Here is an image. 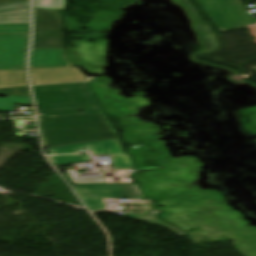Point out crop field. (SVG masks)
<instances>
[{
  "instance_id": "obj_3",
  "label": "crop field",
  "mask_w": 256,
  "mask_h": 256,
  "mask_svg": "<svg viewBox=\"0 0 256 256\" xmlns=\"http://www.w3.org/2000/svg\"><path fill=\"white\" fill-rule=\"evenodd\" d=\"M220 30L256 24L239 0H197ZM206 12V13H207Z\"/></svg>"
},
{
  "instance_id": "obj_20",
  "label": "crop field",
  "mask_w": 256,
  "mask_h": 256,
  "mask_svg": "<svg viewBox=\"0 0 256 256\" xmlns=\"http://www.w3.org/2000/svg\"><path fill=\"white\" fill-rule=\"evenodd\" d=\"M71 184L105 183L103 178L70 180Z\"/></svg>"
},
{
  "instance_id": "obj_11",
  "label": "crop field",
  "mask_w": 256,
  "mask_h": 256,
  "mask_svg": "<svg viewBox=\"0 0 256 256\" xmlns=\"http://www.w3.org/2000/svg\"><path fill=\"white\" fill-rule=\"evenodd\" d=\"M28 86L25 69L0 71V88Z\"/></svg>"
},
{
  "instance_id": "obj_22",
  "label": "crop field",
  "mask_w": 256,
  "mask_h": 256,
  "mask_svg": "<svg viewBox=\"0 0 256 256\" xmlns=\"http://www.w3.org/2000/svg\"><path fill=\"white\" fill-rule=\"evenodd\" d=\"M254 71H256V69H253Z\"/></svg>"
},
{
  "instance_id": "obj_18",
  "label": "crop field",
  "mask_w": 256,
  "mask_h": 256,
  "mask_svg": "<svg viewBox=\"0 0 256 256\" xmlns=\"http://www.w3.org/2000/svg\"><path fill=\"white\" fill-rule=\"evenodd\" d=\"M0 95L29 97V91H28V87L0 89Z\"/></svg>"
},
{
  "instance_id": "obj_9",
  "label": "crop field",
  "mask_w": 256,
  "mask_h": 256,
  "mask_svg": "<svg viewBox=\"0 0 256 256\" xmlns=\"http://www.w3.org/2000/svg\"><path fill=\"white\" fill-rule=\"evenodd\" d=\"M34 33H62L58 12L34 9Z\"/></svg>"
},
{
  "instance_id": "obj_4",
  "label": "crop field",
  "mask_w": 256,
  "mask_h": 256,
  "mask_svg": "<svg viewBox=\"0 0 256 256\" xmlns=\"http://www.w3.org/2000/svg\"><path fill=\"white\" fill-rule=\"evenodd\" d=\"M72 186L90 210L105 208V198L143 197L136 184H88Z\"/></svg>"
},
{
  "instance_id": "obj_21",
  "label": "crop field",
  "mask_w": 256,
  "mask_h": 256,
  "mask_svg": "<svg viewBox=\"0 0 256 256\" xmlns=\"http://www.w3.org/2000/svg\"><path fill=\"white\" fill-rule=\"evenodd\" d=\"M17 1H29V0H0V4L9 3V2H17Z\"/></svg>"
},
{
  "instance_id": "obj_13",
  "label": "crop field",
  "mask_w": 256,
  "mask_h": 256,
  "mask_svg": "<svg viewBox=\"0 0 256 256\" xmlns=\"http://www.w3.org/2000/svg\"><path fill=\"white\" fill-rule=\"evenodd\" d=\"M29 23V9L0 13V24Z\"/></svg>"
},
{
  "instance_id": "obj_8",
  "label": "crop field",
  "mask_w": 256,
  "mask_h": 256,
  "mask_svg": "<svg viewBox=\"0 0 256 256\" xmlns=\"http://www.w3.org/2000/svg\"><path fill=\"white\" fill-rule=\"evenodd\" d=\"M69 66L62 49H33L30 68Z\"/></svg>"
},
{
  "instance_id": "obj_5",
  "label": "crop field",
  "mask_w": 256,
  "mask_h": 256,
  "mask_svg": "<svg viewBox=\"0 0 256 256\" xmlns=\"http://www.w3.org/2000/svg\"><path fill=\"white\" fill-rule=\"evenodd\" d=\"M89 148L93 156L110 155L114 168H133L129 155L123 154L118 139L87 144L47 149L53 155L78 153L77 150Z\"/></svg>"
},
{
  "instance_id": "obj_6",
  "label": "crop field",
  "mask_w": 256,
  "mask_h": 256,
  "mask_svg": "<svg viewBox=\"0 0 256 256\" xmlns=\"http://www.w3.org/2000/svg\"><path fill=\"white\" fill-rule=\"evenodd\" d=\"M29 34L0 35V70L25 68Z\"/></svg>"
},
{
  "instance_id": "obj_14",
  "label": "crop field",
  "mask_w": 256,
  "mask_h": 256,
  "mask_svg": "<svg viewBox=\"0 0 256 256\" xmlns=\"http://www.w3.org/2000/svg\"><path fill=\"white\" fill-rule=\"evenodd\" d=\"M54 166L69 165L75 162H90L89 154L82 155H61L48 157Z\"/></svg>"
},
{
  "instance_id": "obj_12",
  "label": "crop field",
  "mask_w": 256,
  "mask_h": 256,
  "mask_svg": "<svg viewBox=\"0 0 256 256\" xmlns=\"http://www.w3.org/2000/svg\"><path fill=\"white\" fill-rule=\"evenodd\" d=\"M63 35H34L33 48H62Z\"/></svg>"
},
{
  "instance_id": "obj_19",
  "label": "crop field",
  "mask_w": 256,
  "mask_h": 256,
  "mask_svg": "<svg viewBox=\"0 0 256 256\" xmlns=\"http://www.w3.org/2000/svg\"><path fill=\"white\" fill-rule=\"evenodd\" d=\"M29 8V2H18L0 5V12Z\"/></svg>"
},
{
  "instance_id": "obj_10",
  "label": "crop field",
  "mask_w": 256,
  "mask_h": 256,
  "mask_svg": "<svg viewBox=\"0 0 256 256\" xmlns=\"http://www.w3.org/2000/svg\"><path fill=\"white\" fill-rule=\"evenodd\" d=\"M138 204L142 205V208H144V209H152V207L148 205V201L146 199H140V203H138ZM157 214H158V212L146 210V212L141 213V214H126V216L131 219H135V220H139V221H143V222H147V223L165 227V228L171 230L173 233H175L179 237L184 235L183 233L176 230L172 226H170L167 223L163 222L162 220L156 218Z\"/></svg>"
},
{
  "instance_id": "obj_16",
  "label": "crop field",
  "mask_w": 256,
  "mask_h": 256,
  "mask_svg": "<svg viewBox=\"0 0 256 256\" xmlns=\"http://www.w3.org/2000/svg\"><path fill=\"white\" fill-rule=\"evenodd\" d=\"M35 7L61 10L65 8L64 0H34Z\"/></svg>"
},
{
  "instance_id": "obj_23",
  "label": "crop field",
  "mask_w": 256,
  "mask_h": 256,
  "mask_svg": "<svg viewBox=\"0 0 256 256\" xmlns=\"http://www.w3.org/2000/svg\"><path fill=\"white\" fill-rule=\"evenodd\" d=\"M255 5H256V3H255Z\"/></svg>"
},
{
  "instance_id": "obj_15",
  "label": "crop field",
  "mask_w": 256,
  "mask_h": 256,
  "mask_svg": "<svg viewBox=\"0 0 256 256\" xmlns=\"http://www.w3.org/2000/svg\"><path fill=\"white\" fill-rule=\"evenodd\" d=\"M14 103L32 104L30 98L7 96V98H0V112L12 110Z\"/></svg>"
},
{
  "instance_id": "obj_7",
  "label": "crop field",
  "mask_w": 256,
  "mask_h": 256,
  "mask_svg": "<svg viewBox=\"0 0 256 256\" xmlns=\"http://www.w3.org/2000/svg\"><path fill=\"white\" fill-rule=\"evenodd\" d=\"M33 85L86 81L77 67L30 69Z\"/></svg>"
},
{
  "instance_id": "obj_17",
  "label": "crop field",
  "mask_w": 256,
  "mask_h": 256,
  "mask_svg": "<svg viewBox=\"0 0 256 256\" xmlns=\"http://www.w3.org/2000/svg\"><path fill=\"white\" fill-rule=\"evenodd\" d=\"M0 33H29V24L0 25Z\"/></svg>"
},
{
  "instance_id": "obj_2",
  "label": "crop field",
  "mask_w": 256,
  "mask_h": 256,
  "mask_svg": "<svg viewBox=\"0 0 256 256\" xmlns=\"http://www.w3.org/2000/svg\"><path fill=\"white\" fill-rule=\"evenodd\" d=\"M44 116L101 112L86 83L34 87Z\"/></svg>"
},
{
  "instance_id": "obj_1",
  "label": "crop field",
  "mask_w": 256,
  "mask_h": 256,
  "mask_svg": "<svg viewBox=\"0 0 256 256\" xmlns=\"http://www.w3.org/2000/svg\"><path fill=\"white\" fill-rule=\"evenodd\" d=\"M44 148L117 138L103 113L39 118Z\"/></svg>"
}]
</instances>
